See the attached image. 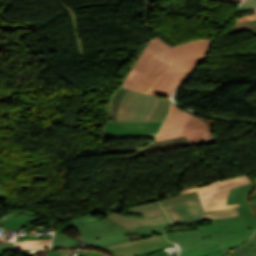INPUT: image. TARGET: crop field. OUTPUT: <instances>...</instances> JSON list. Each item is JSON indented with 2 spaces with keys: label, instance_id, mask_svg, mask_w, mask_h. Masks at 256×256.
Masks as SVG:
<instances>
[{
  "label": "crop field",
  "instance_id": "d3111659",
  "mask_svg": "<svg viewBox=\"0 0 256 256\" xmlns=\"http://www.w3.org/2000/svg\"><path fill=\"white\" fill-rule=\"evenodd\" d=\"M160 232H162V230L141 232V233H138V234H139V235H144V234H154V233H160Z\"/></svg>",
  "mask_w": 256,
  "mask_h": 256
},
{
  "label": "crop field",
  "instance_id": "d1516ede",
  "mask_svg": "<svg viewBox=\"0 0 256 256\" xmlns=\"http://www.w3.org/2000/svg\"><path fill=\"white\" fill-rule=\"evenodd\" d=\"M173 244L171 242H168L164 235L158 236V237H153V238H148V239H143L139 241H134V242H127L107 248H102L105 249L109 252H111L114 256H126L142 251H146L149 249L165 246Z\"/></svg>",
  "mask_w": 256,
  "mask_h": 256
},
{
  "label": "crop field",
  "instance_id": "34b2d1b8",
  "mask_svg": "<svg viewBox=\"0 0 256 256\" xmlns=\"http://www.w3.org/2000/svg\"><path fill=\"white\" fill-rule=\"evenodd\" d=\"M185 135L190 145L216 142L211 131L199 118L171 105L165 123L154 142Z\"/></svg>",
  "mask_w": 256,
  "mask_h": 256
},
{
  "label": "crop field",
  "instance_id": "22f410ed",
  "mask_svg": "<svg viewBox=\"0 0 256 256\" xmlns=\"http://www.w3.org/2000/svg\"><path fill=\"white\" fill-rule=\"evenodd\" d=\"M250 182H251L250 180L233 182V183H230V184H227L219 188L209 190L205 193L200 194L199 197L204 207V210L207 211V210H213V209L240 206V204L225 206L228 192L232 187L240 186Z\"/></svg>",
  "mask_w": 256,
  "mask_h": 256
},
{
  "label": "crop field",
  "instance_id": "dd49c442",
  "mask_svg": "<svg viewBox=\"0 0 256 256\" xmlns=\"http://www.w3.org/2000/svg\"><path fill=\"white\" fill-rule=\"evenodd\" d=\"M161 124L107 120L103 139L155 138Z\"/></svg>",
  "mask_w": 256,
  "mask_h": 256
},
{
  "label": "crop field",
  "instance_id": "d32e631a",
  "mask_svg": "<svg viewBox=\"0 0 256 256\" xmlns=\"http://www.w3.org/2000/svg\"><path fill=\"white\" fill-rule=\"evenodd\" d=\"M234 1H241V0H234Z\"/></svg>",
  "mask_w": 256,
  "mask_h": 256
},
{
  "label": "crop field",
  "instance_id": "ae1a2a85",
  "mask_svg": "<svg viewBox=\"0 0 256 256\" xmlns=\"http://www.w3.org/2000/svg\"><path fill=\"white\" fill-rule=\"evenodd\" d=\"M169 254L164 250L147 255V256H168Z\"/></svg>",
  "mask_w": 256,
  "mask_h": 256
},
{
  "label": "crop field",
  "instance_id": "d9b57169",
  "mask_svg": "<svg viewBox=\"0 0 256 256\" xmlns=\"http://www.w3.org/2000/svg\"><path fill=\"white\" fill-rule=\"evenodd\" d=\"M170 102L162 98L150 122H162L168 113Z\"/></svg>",
  "mask_w": 256,
  "mask_h": 256
},
{
  "label": "crop field",
  "instance_id": "214f88e0",
  "mask_svg": "<svg viewBox=\"0 0 256 256\" xmlns=\"http://www.w3.org/2000/svg\"><path fill=\"white\" fill-rule=\"evenodd\" d=\"M94 221H98V219L94 218L93 216L87 214V215H84V216H81L77 219H74V220H71L69 221V225H65L63 227V230L65 229H69V228H73L77 225H81V224H87V223H91V222H94Z\"/></svg>",
  "mask_w": 256,
  "mask_h": 256
},
{
  "label": "crop field",
  "instance_id": "ac0d7876",
  "mask_svg": "<svg viewBox=\"0 0 256 256\" xmlns=\"http://www.w3.org/2000/svg\"><path fill=\"white\" fill-rule=\"evenodd\" d=\"M165 50L167 49L151 40L122 86L136 92L148 93L171 65L155 57Z\"/></svg>",
  "mask_w": 256,
  "mask_h": 256
},
{
  "label": "crop field",
  "instance_id": "733c2abd",
  "mask_svg": "<svg viewBox=\"0 0 256 256\" xmlns=\"http://www.w3.org/2000/svg\"><path fill=\"white\" fill-rule=\"evenodd\" d=\"M246 179H249V178H247L246 176H243V177L234 178L232 180L228 179V180H224V181H218V182H214V183H212V184H210L208 186H200V187H196V188L185 190V191L181 192L180 194H184V193L195 191V190H197L198 193L200 194V193H202L204 191H207L209 189L216 188L218 186H221V185L233 182V181L246 180Z\"/></svg>",
  "mask_w": 256,
  "mask_h": 256
},
{
  "label": "crop field",
  "instance_id": "e52e79f7",
  "mask_svg": "<svg viewBox=\"0 0 256 256\" xmlns=\"http://www.w3.org/2000/svg\"><path fill=\"white\" fill-rule=\"evenodd\" d=\"M84 241L96 248L130 241L129 238L102 221L75 227ZM98 236V238H96ZM97 245H93V244Z\"/></svg>",
  "mask_w": 256,
  "mask_h": 256
},
{
  "label": "crop field",
  "instance_id": "92a150f3",
  "mask_svg": "<svg viewBox=\"0 0 256 256\" xmlns=\"http://www.w3.org/2000/svg\"><path fill=\"white\" fill-rule=\"evenodd\" d=\"M17 214L10 213L6 218L0 220V226L2 223H4L6 220L10 219L11 217L15 216ZM13 250V242H0V255L4 252Z\"/></svg>",
  "mask_w": 256,
  "mask_h": 256
},
{
  "label": "crop field",
  "instance_id": "3316defc",
  "mask_svg": "<svg viewBox=\"0 0 256 256\" xmlns=\"http://www.w3.org/2000/svg\"><path fill=\"white\" fill-rule=\"evenodd\" d=\"M255 189L256 187L252 183L232 188L226 202V205L241 203V207L237 210L248 230L256 229V213L248 201L249 195Z\"/></svg>",
  "mask_w": 256,
  "mask_h": 256
},
{
  "label": "crop field",
  "instance_id": "412701ff",
  "mask_svg": "<svg viewBox=\"0 0 256 256\" xmlns=\"http://www.w3.org/2000/svg\"><path fill=\"white\" fill-rule=\"evenodd\" d=\"M194 193L197 199L162 205L170 219L168 226L178 223L239 216L236 208L204 212L197 191Z\"/></svg>",
  "mask_w": 256,
  "mask_h": 256
},
{
  "label": "crop field",
  "instance_id": "cbeb9de0",
  "mask_svg": "<svg viewBox=\"0 0 256 256\" xmlns=\"http://www.w3.org/2000/svg\"><path fill=\"white\" fill-rule=\"evenodd\" d=\"M96 211L101 212V213L105 214L106 216H109L112 213V212L101 210V209H98ZM102 221L106 222L107 224L111 225L112 227L116 228L117 230H119L120 232H122L124 234H128L129 232H141V231H147V230L163 229L167 225V223L157 224V225H144V226H137L130 230V229L120 225L119 223L109 219L108 217L104 218Z\"/></svg>",
  "mask_w": 256,
  "mask_h": 256
},
{
  "label": "crop field",
  "instance_id": "bc2a9ffb",
  "mask_svg": "<svg viewBox=\"0 0 256 256\" xmlns=\"http://www.w3.org/2000/svg\"><path fill=\"white\" fill-rule=\"evenodd\" d=\"M228 249L226 246H224L223 244L188 255V256H221L222 254H224L225 252H227Z\"/></svg>",
  "mask_w": 256,
  "mask_h": 256
},
{
  "label": "crop field",
  "instance_id": "bd1437ed",
  "mask_svg": "<svg viewBox=\"0 0 256 256\" xmlns=\"http://www.w3.org/2000/svg\"><path fill=\"white\" fill-rule=\"evenodd\" d=\"M4 197H5V196H4V194H3V192H2V190H1V188H0V200L3 201Z\"/></svg>",
  "mask_w": 256,
  "mask_h": 256
},
{
  "label": "crop field",
  "instance_id": "00972430",
  "mask_svg": "<svg viewBox=\"0 0 256 256\" xmlns=\"http://www.w3.org/2000/svg\"><path fill=\"white\" fill-rule=\"evenodd\" d=\"M218 244H221V243L205 244V245L199 246L197 248H194V249L188 250L186 252H183V253L180 254V256L188 255V254H191V253H194V252H197V251H200V250H203V249H206V248L218 245Z\"/></svg>",
  "mask_w": 256,
  "mask_h": 256
},
{
  "label": "crop field",
  "instance_id": "d8731c3e",
  "mask_svg": "<svg viewBox=\"0 0 256 256\" xmlns=\"http://www.w3.org/2000/svg\"><path fill=\"white\" fill-rule=\"evenodd\" d=\"M212 225L197 226L199 230L181 231L177 233H169L166 235L167 240L179 243L197 236L200 232L211 233H246L252 234L254 230L247 231L240 217L211 220Z\"/></svg>",
  "mask_w": 256,
  "mask_h": 256
},
{
  "label": "crop field",
  "instance_id": "dafd665d",
  "mask_svg": "<svg viewBox=\"0 0 256 256\" xmlns=\"http://www.w3.org/2000/svg\"><path fill=\"white\" fill-rule=\"evenodd\" d=\"M196 198L194 193H188V194H184V195H179L177 197H173V198H169V199H165V200H161V204L164 203H170V202H176V201H182V200H188V199H194Z\"/></svg>",
  "mask_w": 256,
  "mask_h": 256
},
{
  "label": "crop field",
  "instance_id": "8a807250",
  "mask_svg": "<svg viewBox=\"0 0 256 256\" xmlns=\"http://www.w3.org/2000/svg\"><path fill=\"white\" fill-rule=\"evenodd\" d=\"M153 40L169 50L157 57L173 63L162 78L149 92L170 98L171 94L185 78V75L196 65L208 49L212 39L191 40L180 45L170 47L158 37Z\"/></svg>",
  "mask_w": 256,
  "mask_h": 256
},
{
  "label": "crop field",
  "instance_id": "5142ce71",
  "mask_svg": "<svg viewBox=\"0 0 256 256\" xmlns=\"http://www.w3.org/2000/svg\"><path fill=\"white\" fill-rule=\"evenodd\" d=\"M51 239H42L34 241H16L15 249L26 248H49Z\"/></svg>",
  "mask_w": 256,
  "mask_h": 256
},
{
  "label": "crop field",
  "instance_id": "28ad6ade",
  "mask_svg": "<svg viewBox=\"0 0 256 256\" xmlns=\"http://www.w3.org/2000/svg\"><path fill=\"white\" fill-rule=\"evenodd\" d=\"M201 234L202 236L200 237L179 243V246L181 248L180 253L205 243H214V242H222L227 247L232 249L239 243L249 239L251 236V235H245V234H211V233H201Z\"/></svg>",
  "mask_w": 256,
  "mask_h": 256
},
{
  "label": "crop field",
  "instance_id": "5a996713",
  "mask_svg": "<svg viewBox=\"0 0 256 256\" xmlns=\"http://www.w3.org/2000/svg\"><path fill=\"white\" fill-rule=\"evenodd\" d=\"M126 212H144V215L143 218H139L131 216H121L112 213L109 218L119 222L120 224L130 229L137 225L168 222V218L158 201L154 203L133 206L129 208Z\"/></svg>",
  "mask_w": 256,
  "mask_h": 256
},
{
  "label": "crop field",
  "instance_id": "4a817a6b",
  "mask_svg": "<svg viewBox=\"0 0 256 256\" xmlns=\"http://www.w3.org/2000/svg\"><path fill=\"white\" fill-rule=\"evenodd\" d=\"M243 30H249L253 36H256V19L241 23H235L234 26L227 33Z\"/></svg>",
  "mask_w": 256,
  "mask_h": 256
},
{
  "label": "crop field",
  "instance_id": "730fd06b",
  "mask_svg": "<svg viewBox=\"0 0 256 256\" xmlns=\"http://www.w3.org/2000/svg\"><path fill=\"white\" fill-rule=\"evenodd\" d=\"M254 11H255V14L238 17L235 22H241V21H245V20L255 19L256 18V9H254Z\"/></svg>",
  "mask_w": 256,
  "mask_h": 256
},
{
  "label": "crop field",
  "instance_id": "1d83c4d3",
  "mask_svg": "<svg viewBox=\"0 0 256 256\" xmlns=\"http://www.w3.org/2000/svg\"><path fill=\"white\" fill-rule=\"evenodd\" d=\"M253 203H254V205H255V208H256V193H255V195H254V200H253Z\"/></svg>",
  "mask_w": 256,
  "mask_h": 256
},
{
  "label": "crop field",
  "instance_id": "4177f3b9",
  "mask_svg": "<svg viewBox=\"0 0 256 256\" xmlns=\"http://www.w3.org/2000/svg\"><path fill=\"white\" fill-rule=\"evenodd\" d=\"M245 246H256V236L251 237L248 241H246L244 244L240 245L239 247L233 249L232 251H230L228 254L232 253L233 251L243 248Z\"/></svg>",
  "mask_w": 256,
  "mask_h": 256
},
{
  "label": "crop field",
  "instance_id": "120bbe31",
  "mask_svg": "<svg viewBox=\"0 0 256 256\" xmlns=\"http://www.w3.org/2000/svg\"><path fill=\"white\" fill-rule=\"evenodd\" d=\"M224 256H229V255H224ZM245 256H256V254H249V255H245Z\"/></svg>",
  "mask_w": 256,
  "mask_h": 256
},
{
  "label": "crop field",
  "instance_id": "eef30255",
  "mask_svg": "<svg viewBox=\"0 0 256 256\" xmlns=\"http://www.w3.org/2000/svg\"><path fill=\"white\" fill-rule=\"evenodd\" d=\"M65 251L70 250H51L48 256H64Z\"/></svg>",
  "mask_w": 256,
  "mask_h": 256
},
{
  "label": "crop field",
  "instance_id": "f4fd0767",
  "mask_svg": "<svg viewBox=\"0 0 256 256\" xmlns=\"http://www.w3.org/2000/svg\"><path fill=\"white\" fill-rule=\"evenodd\" d=\"M160 99L158 96L138 94L127 90L121 101L117 120L149 122Z\"/></svg>",
  "mask_w": 256,
  "mask_h": 256
},
{
  "label": "crop field",
  "instance_id": "a9b5d70f",
  "mask_svg": "<svg viewBox=\"0 0 256 256\" xmlns=\"http://www.w3.org/2000/svg\"><path fill=\"white\" fill-rule=\"evenodd\" d=\"M251 8H256V0H245L241 7L238 9V11L247 10Z\"/></svg>",
  "mask_w": 256,
  "mask_h": 256
},
{
  "label": "crop field",
  "instance_id": "750c4746",
  "mask_svg": "<svg viewBox=\"0 0 256 256\" xmlns=\"http://www.w3.org/2000/svg\"><path fill=\"white\" fill-rule=\"evenodd\" d=\"M47 253L48 251H37L35 256H46Z\"/></svg>",
  "mask_w": 256,
  "mask_h": 256
}]
</instances>
